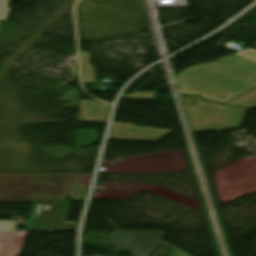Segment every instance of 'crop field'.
Returning <instances> with one entry per match:
<instances>
[{"label": "crop field", "mask_w": 256, "mask_h": 256, "mask_svg": "<svg viewBox=\"0 0 256 256\" xmlns=\"http://www.w3.org/2000/svg\"><path fill=\"white\" fill-rule=\"evenodd\" d=\"M177 75L185 95H200L209 101L225 103L256 87V51H239ZM224 96L228 97L222 99Z\"/></svg>", "instance_id": "8a807250"}, {"label": "crop field", "mask_w": 256, "mask_h": 256, "mask_svg": "<svg viewBox=\"0 0 256 256\" xmlns=\"http://www.w3.org/2000/svg\"><path fill=\"white\" fill-rule=\"evenodd\" d=\"M196 106H192V97H184L192 131L221 132L228 128H239L248 109L222 106L218 103L206 102L198 97L194 98Z\"/></svg>", "instance_id": "ac0d7876"}, {"label": "crop field", "mask_w": 256, "mask_h": 256, "mask_svg": "<svg viewBox=\"0 0 256 256\" xmlns=\"http://www.w3.org/2000/svg\"><path fill=\"white\" fill-rule=\"evenodd\" d=\"M168 232H113L108 242L114 245V252L129 250L134 256H148L159 243L171 248L172 245L162 241Z\"/></svg>", "instance_id": "34b2d1b8"}, {"label": "crop field", "mask_w": 256, "mask_h": 256, "mask_svg": "<svg viewBox=\"0 0 256 256\" xmlns=\"http://www.w3.org/2000/svg\"><path fill=\"white\" fill-rule=\"evenodd\" d=\"M56 203H34L27 228L37 231L77 230L78 224H66L71 208Z\"/></svg>", "instance_id": "412701ff"}, {"label": "crop field", "mask_w": 256, "mask_h": 256, "mask_svg": "<svg viewBox=\"0 0 256 256\" xmlns=\"http://www.w3.org/2000/svg\"><path fill=\"white\" fill-rule=\"evenodd\" d=\"M171 132L173 130L114 123L110 139L157 141Z\"/></svg>", "instance_id": "f4fd0767"}, {"label": "crop field", "mask_w": 256, "mask_h": 256, "mask_svg": "<svg viewBox=\"0 0 256 256\" xmlns=\"http://www.w3.org/2000/svg\"><path fill=\"white\" fill-rule=\"evenodd\" d=\"M80 107L78 121L106 122L111 106L96 101H80Z\"/></svg>", "instance_id": "dd49c442"}, {"label": "crop field", "mask_w": 256, "mask_h": 256, "mask_svg": "<svg viewBox=\"0 0 256 256\" xmlns=\"http://www.w3.org/2000/svg\"><path fill=\"white\" fill-rule=\"evenodd\" d=\"M24 239L17 233H0V256H19Z\"/></svg>", "instance_id": "e52e79f7"}, {"label": "crop field", "mask_w": 256, "mask_h": 256, "mask_svg": "<svg viewBox=\"0 0 256 256\" xmlns=\"http://www.w3.org/2000/svg\"><path fill=\"white\" fill-rule=\"evenodd\" d=\"M98 142V131L76 130V148Z\"/></svg>", "instance_id": "d8731c3e"}, {"label": "crop field", "mask_w": 256, "mask_h": 256, "mask_svg": "<svg viewBox=\"0 0 256 256\" xmlns=\"http://www.w3.org/2000/svg\"><path fill=\"white\" fill-rule=\"evenodd\" d=\"M84 82H94L96 79L95 66H91L89 52H81Z\"/></svg>", "instance_id": "5a996713"}, {"label": "crop field", "mask_w": 256, "mask_h": 256, "mask_svg": "<svg viewBox=\"0 0 256 256\" xmlns=\"http://www.w3.org/2000/svg\"><path fill=\"white\" fill-rule=\"evenodd\" d=\"M226 105L255 108L256 107V89L250 91L249 93L241 96L240 98Z\"/></svg>", "instance_id": "3316defc"}, {"label": "crop field", "mask_w": 256, "mask_h": 256, "mask_svg": "<svg viewBox=\"0 0 256 256\" xmlns=\"http://www.w3.org/2000/svg\"><path fill=\"white\" fill-rule=\"evenodd\" d=\"M20 221H0V232H17Z\"/></svg>", "instance_id": "28ad6ade"}, {"label": "crop field", "mask_w": 256, "mask_h": 256, "mask_svg": "<svg viewBox=\"0 0 256 256\" xmlns=\"http://www.w3.org/2000/svg\"><path fill=\"white\" fill-rule=\"evenodd\" d=\"M155 95L154 92H136L133 94L125 95L122 98H145V99H152Z\"/></svg>", "instance_id": "d1516ede"}, {"label": "crop field", "mask_w": 256, "mask_h": 256, "mask_svg": "<svg viewBox=\"0 0 256 256\" xmlns=\"http://www.w3.org/2000/svg\"><path fill=\"white\" fill-rule=\"evenodd\" d=\"M167 256H190V255L172 246Z\"/></svg>", "instance_id": "22f410ed"}, {"label": "crop field", "mask_w": 256, "mask_h": 256, "mask_svg": "<svg viewBox=\"0 0 256 256\" xmlns=\"http://www.w3.org/2000/svg\"><path fill=\"white\" fill-rule=\"evenodd\" d=\"M5 1L6 0H0V16H1V13H2V10H3L4 4H5Z\"/></svg>", "instance_id": "cbeb9de0"}]
</instances>
